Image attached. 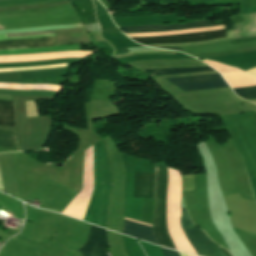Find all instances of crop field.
Returning a JSON list of instances; mask_svg holds the SVG:
<instances>
[{
    "instance_id": "crop-field-11",
    "label": "crop field",
    "mask_w": 256,
    "mask_h": 256,
    "mask_svg": "<svg viewBox=\"0 0 256 256\" xmlns=\"http://www.w3.org/2000/svg\"><path fill=\"white\" fill-rule=\"evenodd\" d=\"M125 219L152 227L151 224H147V223H143V222L127 219V218H125ZM126 220H125L124 230L122 233L131 235L138 239L146 240V241L152 242L154 244H157L155 241V238L152 234L151 227H147V226L140 225L137 223L126 221Z\"/></svg>"
},
{
    "instance_id": "crop-field-13",
    "label": "crop field",
    "mask_w": 256,
    "mask_h": 256,
    "mask_svg": "<svg viewBox=\"0 0 256 256\" xmlns=\"http://www.w3.org/2000/svg\"><path fill=\"white\" fill-rule=\"evenodd\" d=\"M213 70L210 67L203 68H184V69H155L144 71L152 76L162 75V74H176V73H191V72H201Z\"/></svg>"
},
{
    "instance_id": "crop-field-19",
    "label": "crop field",
    "mask_w": 256,
    "mask_h": 256,
    "mask_svg": "<svg viewBox=\"0 0 256 256\" xmlns=\"http://www.w3.org/2000/svg\"><path fill=\"white\" fill-rule=\"evenodd\" d=\"M254 102V101H253ZM254 103H256V102H254Z\"/></svg>"
},
{
    "instance_id": "crop-field-5",
    "label": "crop field",
    "mask_w": 256,
    "mask_h": 256,
    "mask_svg": "<svg viewBox=\"0 0 256 256\" xmlns=\"http://www.w3.org/2000/svg\"><path fill=\"white\" fill-rule=\"evenodd\" d=\"M168 80L179 86L186 93L228 86L227 83L222 79L220 74L172 78Z\"/></svg>"
},
{
    "instance_id": "crop-field-7",
    "label": "crop field",
    "mask_w": 256,
    "mask_h": 256,
    "mask_svg": "<svg viewBox=\"0 0 256 256\" xmlns=\"http://www.w3.org/2000/svg\"><path fill=\"white\" fill-rule=\"evenodd\" d=\"M51 36H55V35H51ZM40 37H50V36L6 38V34H5V35H0V41L30 39V38H40ZM53 45H55V37L0 42V49L41 48V47H49Z\"/></svg>"
},
{
    "instance_id": "crop-field-3",
    "label": "crop field",
    "mask_w": 256,
    "mask_h": 256,
    "mask_svg": "<svg viewBox=\"0 0 256 256\" xmlns=\"http://www.w3.org/2000/svg\"><path fill=\"white\" fill-rule=\"evenodd\" d=\"M223 28H226V26L222 25V26H213V27H207V28L171 31V32H154V33L126 34V35L129 37L167 35V34H179V33L205 31V30L223 29ZM224 37H228L227 29L197 32V33H188V34H179V35L137 37V38H131V39H133L141 44H162V43L194 42V41L224 38Z\"/></svg>"
},
{
    "instance_id": "crop-field-2",
    "label": "crop field",
    "mask_w": 256,
    "mask_h": 256,
    "mask_svg": "<svg viewBox=\"0 0 256 256\" xmlns=\"http://www.w3.org/2000/svg\"><path fill=\"white\" fill-rule=\"evenodd\" d=\"M154 170L156 180L154 191L153 233L160 246L175 249L166 226L167 167H154Z\"/></svg>"
},
{
    "instance_id": "crop-field-17",
    "label": "crop field",
    "mask_w": 256,
    "mask_h": 256,
    "mask_svg": "<svg viewBox=\"0 0 256 256\" xmlns=\"http://www.w3.org/2000/svg\"><path fill=\"white\" fill-rule=\"evenodd\" d=\"M161 250L164 256H179V254L176 251L168 250L165 248H161Z\"/></svg>"
},
{
    "instance_id": "crop-field-18",
    "label": "crop field",
    "mask_w": 256,
    "mask_h": 256,
    "mask_svg": "<svg viewBox=\"0 0 256 256\" xmlns=\"http://www.w3.org/2000/svg\"><path fill=\"white\" fill-rule=\"evenodd\" d=\"M179 254H180V256H187V254H184V253L179 252ZM188 256H192V255H188Z\"/></svg>"
},
{
    "instance_id": "crop-field-16",
    "label": "crop field",
    "mask_w": 256,
    "mask_h": 256,
    "mask_svg": "<svg viewBox=\"0 0 256 256\" xmlns=\"http://www.w3.org/2000/svg\"><path fill=\"white\" fill-rule=\"evenodd\" d=\"M66 66L65 64L50 65V66H40V67H30V68H16V69H0V71H12V70H28V69H42V68H52Z\"/></svg>"
},
{
    "instance_id": "crop-field-9",
    "label": "crop field",
    "mask_w": 256,
    "mask_h": 256,
    "mask_svg": "<svg viewBox=\"0 0 256 256\" xmlns=\"http://www.w3.org/2000/svg\"><path fill=\"white\" fill-rule=\"evenodd\" d=\"M155 174L134 172V197H153Z\"/></svg>"
},
{
    "instance_id": "crop-field-8",
    "label": "crop field",
    "mask_w": 256,
    "mask_h": 256,
    "mask_svg": "<svg viewBox=\"0 0 256 256\" xmlns=\"http://www.w3.org/2000/svg\"><path fill=\"white\" fill-rule=\"evenodd\" d=\"M213 68L217 69L223 77L227 80L231 87L256 84V77L245 74L238 69L230 68L225 65L203 60Z\"/></svg>"
},
{
    "instance_id": "crop-field-10",
    "label": "crop field",
    "mask_w": 256,
    "mask_h": 256,
    "mask_svg": "<svg viewBox=\"0 0 256 256\" xmlns=\"http://www.w3.org/2000/svg\"><path fill=\"white\" fill-rule=\"evenodd\" d=\"M211 25L207 20L196 21V22H187L173 25H156L148 27H120L123 32L126 33H141V32H152V31H163L179 28H189V27H199V26H208Z\"/></svg>"
},
{
    "instance_id": "crop-field-14",
    "label": "crop field",
    "mask_w": 256,
    "mask_h": 256,
    "mask_svg": "<svg viewBox=\"0 0 256 256\" xmlns=\"http://www.w3.org/2000/svg\"><path fill=\"white\" fill-rule=\"evenodd\" d=\"M0 147L20 150L15 132L0 130Z\"/></svg>"
},
{
    "instance_id": "crop-field-12",
    "label": "crop field",
    "mask_w": 256,
    "mask_h": 256,
    "mask_svg": "<svg viewBox=\"0 0 256 256\" xmlns=\"http://www.w3.org/2000/svg\"><path fill=\"white\" fill-rule=\"evenodd\" d=\"M0 125L15 127V111L10 101H0Z\"/></svg>"
},
{
    "instance_id": "crop-field-15",
    "label": "crop field",
    "mask_w": 256,
    "mask_h": 256,
    "mask_svg": "<svg viewBox=\"0 0 256 256\" xmlns=\"http://www.w3.org/2000/svg\"><path fill=\"white\" fill-rule=\"evenodd\" d=\"M55 30L51 31H37V32H29V33H14V34H7L8 37H15V36H27V35H44V34H54Z\"/></svg>"
},
{
    "instance_id": "crop-field-6",
    "label": "crop field",
    "mask_w": 256,
    "mask_h": 256,
    "mask_svg": "<svg viewBox=\"0 0 256 256\" xmlns=\"http://www.w3.org/2000/svg\"><path fill=\"white\" fill-rule=\"evenodd\" d=\"M108 247L106 240V230L96 226H90L88 239L78 252L82 256H107L105 249Z\"/></svg>"
},
{
    "instance_id": "crop-field-1",
    "label": "crop field",
    "mask_w": 256,
    "mask_h": 256,
    "mask_svg": "<svg viewBox=\"0 0 256 256\" xmlns=\"http://www.w3.org/2000/svg\"><path fill=\"white\" fill-rule=\"evenodd\" d=\"M167 223L169 233L177 250L195 254L179 225L181 177L178 171L168 168Z\"/></svg>"
},
{
    "instance_id": "crop-field-4",
    "label": "crop field",
    "mask_w": 256,
    "mask_h": 256,
    "mask_svg": "<svg viewBox=\"0 0 256 256\" xmlns=\"http://www.w3.org/2000/svg\"><path fill=\"white\" fill-rule=\"evenodd\" d=\"M181 219V210H180ZM180 225L199 256H226L199 228L189 219L185 210H182Z\"/></svg>"
}]
</instances>
